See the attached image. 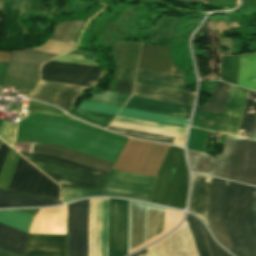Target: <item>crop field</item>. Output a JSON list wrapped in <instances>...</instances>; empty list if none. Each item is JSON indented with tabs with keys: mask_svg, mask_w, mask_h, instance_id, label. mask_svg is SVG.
I'll return each instance as SVG.
<instances>
[{
	"mask_svg": "<svg viewBox=\"0 0 256 256\" xmlns=\"http://www.w3.org/2000/svg\"><path fill=\"white\" fill-rule=\"evenodd\" d=\"M25 156L60 186L101 188L106 175L89 171L52 158ZM24 157V158H25ZM61 187V199L93 196H119L150 202V185L106 178L101 189Z\"/></svg>",
	"mask_w": 256,
	"mask_h": 256,
	"instance_id": "1",
	"label": "crop field"
},
{
	"mask_svg": "<svg viewBox=\"0 0 256 256\" xmlns=\"http://www.w3.org/2000/svg\"><path fill=\"white\" fill-rule=\"evenodd\" d=\"M33 215L0 211V223L28 233ZM67 205L39 209L29 233L66 235ZM29 234L23 256H66V236Z\"/></svg>",
	"mask_w": 256,
	"mask_h": 256,
	"instance_id": "2",
	"label": "crop field"
},
{
	"mask_svg": "<svg viewBox=\"0 0 256 256\" xmlns=\"http://www.w3.org/2000/svg\"><path fill=\"white\" fill-rule=\"evenodd\" d=\"M188 157L193 171L256 186V141L228 135L216 159L190 150Z\"/></svg>",
	"mask_w": 256,
	"mask_h": 256,
	"instance_id": "3",
	"label": "crop field"
},
{
	"mask_svg": "<svg viewBox=\"0 0 256 256\" xmlns=\"http://www.w3.org/2000/svg\"><path fill=\"white\" fill-rule=\"evenodd\" d=\"M256 188L227 181L224 228L238 256H256V225L253 202Z\"/></svg>",
	"mask_w": 256,
	"mask_h": 256,
	"instance_id": "4",
	"label": "crop field"
},
{
	"mask_svg": "<svg viewBox=\"0 0 256 256\" xmlns=\"http://www.w3.org/2000/svg\"><path fill=\"white\" fill-rule=\"evenodd\" d=\"M184 212L129 201L128 254L162 237Z\"/></svg>",
	"mask_w": 256,
	"mask_h": 256,
	"instance_id": "5",
	"label": "crop field"
},
{
	"mask_svg": "<svg viewBox=\"0 0 256 256\" xmlns=\"http://www.w3.org/2000/svg\"><path fill=\"white\" fill-rule=\"evenodd\" d=\"M188 172L183 150L171 146L155 179L151 202L185 209Z\"/></svg>",
	"mask_w": 256,
	"mask_h": 256,
	"instance_id": "6",
	"label": "crop field"
},
{
	"mask_svg": "<svg viewBox=\"0 0 256 256\" xmlns=\"http://www.w3.org/2000/svg\"><path fill=\"white\" fill-rule=\"evenodd\" d=\"M57 54L28 49L11 52L3 87L33 90L38 80L40 65Z\"/></svg>",
	"mask_w": 256,
	"mask_h": 256,
	"instance_id": "7",
	"label": "crop field"
},
{
	"mask_svg": "<svg viewBox=\"0 0 256 256\" xmlns=\"http://www.w3.org/2000/svg\"><path fill=\"white\" fill-rule=\"evenodd\" d=\"M8 189L59 198V186L21 156Z\"/></svg>",
	"mask_w": 256,
	"mask_h": 256,
	"instance_id": "8",
	"label": "crop field"
},
{
	"mask_svg": "<svg viewBox=\"0 0 256 256\" xmlns=\"http://www.w3.org/2000/svg\"><path fill=\"white\" fill-rule=\"evenodd\" d=\"M89 199L68 207L67 256H87Z\"/></svg>",
	"mask_w": 256,
	"mask_h": 256,
	"instance_id": "9",
	"label": "crop field"
},
{
	"mask_svg": "<svg viewBox=\"0 0 256 256\" xmlns=\"http://www.w3.org/2000/svg\"><path fill=\"white\" fill-rule=\"evenodd\" d=\"M109 199H90L88 256H107Z\"/></svg>",
	"mask_w": 256,
	"mask_h": 256,
	"instance_id": "10",
	"label": "crop field"
},
{
	"mask_svg": "<svg viewBox=\"0 0 256 256\" xmlns=\"http://www.w3.org/2000/svg\"><path fill=\"white\" fill-rule=\"evenodd\" d=\"M99 73L100 67L50 61L42 67L41 80L89 86Z\"/></svg>",
	"mask_w": 256,
	"mask_h": 256,
	"instance_id": "11",
	"label": "crop field"
},
{
	"mask_svg": "<svg viewBox=\"0 0 256 256\" xmlns=\"http://www.w3.org/2000/svg\"><path fill=\"white\" fill-rule=\"evenodd\" d=\"M128 201L110 199L108 256L127 255Z\"/></svg>",
	"mask_w": 256,
	"mask_h": 256,
	"instance_id": "12",
	"label": "crop field"
},
{
	"mask_svg": "<svg viewBox=\"0 0 256 256\" xmlns=\"http://www.w3.org/2000/svg\"><path fill=\"white\" fill-rule=\"evenodd\" d=\"M225 184V180L212 177L207 208L208 223L209 228L216 237L217 241L236 255L230 243V240L223 228L222 208Z\"/></svg>",
	"mask_w": 256,
	"mask_h": 256,
	"instance_id": "13",
	"label": "crop field"
},
{
	"mask_svg": "<svg viewBox=\"0 0 256 256\" xmlns=\"http://www.w3.org/2000/svg\"><path fill=\"white\" fill-rule=\"evenodd\" d=\"M152 247L156 256H198L186 221L175 232ZM152 247L146 248L149 256H155Z\"/></svg>",
	"mask_w": 256,
	"mask_h": 256,
	"instance_id": "14",
	"label": "crop field"
},
{
	"mask_svg": "<svg viewBox=\"0 0 256 256\" xmlns=\"http://www.w3.org/2000/svg\"><path fill=\"white\" fill-rule=\"evenodd\" d=\"M87 89L85 86L41 81L37 89L27 97L51 102L67 111L77 96Z\"/></svg>",
	"mask_w": 256,
	"mask_h": 256,
	"instance_id": "15",
	"label": "crop field"
},
{
	"mask_svg": "<svg viewBox=\"0 0 256 256\" xmlns=\"http://www.w3.org/2000/svg\"><path fill=\"white\" fill-rule=\"evenodd\" d=\"M110 125L166 136H172L175 137L172 143L179 146H183L186 134V128L183 127L162 125L119 116H116Z\"/></svg>",
	"mask_w": 256,
	"mask_h": 256,
	"instance_id": "16",
	"label": "crop field"
},
{
	"mask_svg": "<svg viewBox=\"0 0 256 256\" xmlns=\"http://www.w3.org/2000/svg\"><path fill=\"white\" fill-rule=\"evenodd\" d=\"M30 153L57 156L105 172H108L112 166V163L88 155H84L57 145L32 143Z\"/></svg>",
	"mask_w": 256,
	"mask_h": 256,
	"instance_id": "17",
	"label": "crop field"
},
{
	"mask_svg": "<svg viewBox=\"0 0 256 256\" xmlns=\"http://www.w3.org/2000/svg\"><path fill=\"white\" fill-rule=\"evenodd\" d=\"M138 68L182 75L172 62L166 47L142 44Z\"/></svg>",
	"mask_w": 256,
	"mask_h": 256,
	"instance_id": "18",
	"label": "crop field"
},
{
	"mask_svg": "<svg viewBox=\"0 0 256 256\" xmlns=\"http://www.w3.org/2000/svg\"><path fill=\"white\" fill-rule=\"evenodd\" d=\"M247 91L232 85L220 132L237 135Z\"/></svg>",
	"mask_w": 256,
	"mask_h": 256,
	"instance_id": "19",
	"label": "crop field"
},
{
	"mask_svg": "<svg viewBox=\"0 0 256 256\" xmlns=\"http://www.w3.org/2000/svg\"><path fill=\"white\" fill-rule=\"evenodd\" d=\"M193 92H185L170 88L148 85L135 82L133 95L157 100H163L184 105L193 104Z\"/></svg>",
	"mask_w": 256,
	"mask_h": 256,
	"instance_id": "20",
	"label": "crop field"
},
{
	"mask_svg": "<svg viewBox=\"0 0 256 256\" xmlns=\"http://www.w3.org/2000/svg\"><path fill=\"white\" fill-rule=\"evenodd\" d=\"M124 107L186 118H189L192 108L190 106H184L135 96H132Z\"/></svg>",
	"mask_w": 256,
	"mask_h": 256,
	"instance_id": "21",
	"label": "crop field"
},
{
	"mask_svg": "<svg viewBox=\"0 0 256 256\" xmlns=\"http://www.w3.org/2000/svg\"><path fill=\"white\" fill-rule=\"evenodd\" d=\"M186 221L199 256H230L229 253L221 249L213 241L207 229L197 218L192 215H188Z\"/></svg>",
	"mask_w": 256,
	"mask_h": 256,
	"instance_id": "22",
	"label": "crop field"
},
{
	"mask_svg": "<svg viewBox=\"0 0 256 256\" xmlns=\"http://www.w3.org/2000/svg\"><path fill=\"white\" fill-rule=\"evenodd\" d=\"M193 184L189 211L207 224L206 208L211 177L192 173ZM208 226V224H207Z\"/></svg>",
	"mask_w": 256,
	"mask_h": 256,
	"instance_id": "23",
	"label": "crop field"
},
{
	"mask_svg": "<svg viewBox=\"0 0 256 256\" xmlns=\"http://www.w3.org/2000/svg\"><path fill=\"white\" fill-rule=\"evenodd\" d=\"M60 203L57 199L0 190V207H36Z\"/></svg>",
	"mask_w": 256,
	"mask_h": 256,
	"instance_id": "24",
	"label": "crop field"
},
{
	"mask_svg": "<svg viewBox=\"0 0 256 256\" xmlns=\"http://www.w3.org/2000/svg\"><path fill=\"white\" fill-rule=\"evenodd\" d=\"M27 233L0 224V249L22 255Z\"/></svg>",
	"mask_w": 256,
	"mask_h": 256,
	"instance_id": "25",
	"label": "crop field"
},
{
	"mask_svg": "<svg viewBox=\"0 0 256 256\" xmlns=\"http://www.w3.org/2000/svg\"><path fill=\"white\" fill-rule=\"evenodd\" d=\"M140 45L135 42H115L114 60L116 64L136 68Z\"/></svg>",
	"mask_w": 256,
	"mask_h": 256,
	"instance_id": "26",
	"label": "crop field"
},
{
	"mask_svg": "<svg viewBox=\"0 0 256 256\" xmlns=\"http://www.w3.org/2000/svg\"><path fill=\"white\" fill-rule=\"evenodd\" d=\"M238 85L256 90V53L241 56Z\"/></svg>",
	"mask_w": 256,
	"mask_h": 256,
	"instance_id": "27",
	"label": "crop field"
},
{
	"mask_svg": "<svg viewBox=\"0 0 256 256\" xmlns=\"http://www.w3.org/2000/svg\"><path fill=\"white\" fill-rule=\"evenodd\" d=\"M256 118V92L248 91L238 136L247 137L249 132L252 133Z\"/></svg>",
	"mask_w": 256,
	"mask_h": 256,
	"instance_id": "28",
	"label": "crop field"
},
{
	"mask_svg": "<svg viewBox=\"0 0 256 256\" xmlns=\"http://www.w3.org/2000/svg\"><path fill=\"white\" fill-rule=\"evenodd\" d=\"M118 115L125 116V117H131V118H137V119H143V120H148V121L184 126V127H186L187 122L189 120V119H185V118L170 117V116H164V115L153 114V113H148V112L125 109V108H122V110L119 112Z\"/></svg>",
	"mask_w": 256,
	"mask_h": 256,
	"instance_id": "29",
	"label": "crop field"
},
{
	"mask_svg": "<svg viewBox=\"0 0 256 256\" xmlns=\"http://www.w3.org/2000/svg\"><path fill=\"white\" fill-rule=\"evenodd\" d=\"M223 114L196 110L191 126L219 132Z\"/></svg>",
	"mask_w": 256,
	"mask_h": 256,
	"instance_id": "30",
	"label": "crop field"
},
{
	"mask_svg": "<svg viewBox=\"0 0 256 256\" xmlns=\"http://www.w3.org/2000/svg\"><path fill=\"white\" fill-rule=\"evenodd\" d=\"M230 86V84L218 81L207 105L204 107L197 106L196 109L224 112Z\"/></svg>",
	"mask_w": 256,
	"mask_h": 256,
	"instance_id": "31",
	"label": "crop field"
},
{
	"mask_svg": "<svg viewBox=\"0 0 256 256\" xmlns=\"http://www.w3.org/2000/svg\"><path fill=\"white\" fill-rule=\"evenodd\" d=\"M240 56H221L219 80L237 85Z\"/></svg>",
	"mask_w": 256,
	"mask_h": 256,
	"instance_id": "32",
	"label": "crop field"
},
{
	"mask_svg": "<svg viewBox=\"0 0 256 256\" xmlns=\"http://www.w3.org/2000/svg\"><path fill=\"white\" fill-rule=\"evenodd\" d=\"M82 24L81 21H63L56 25L50 39L75 43L74 36Z\"/></svg>",
	"mask_w": 256,
	"mask_h": 256,
	"instance_id": "33",
	"label": "crop field"
},
{
	"mask_svg": "<svg viewBox=\"0 0 256 256\" xmlns=\"http://www.w3.org/2000/svg\"><path fill=\"white\" fill-rule=\"evenodd\" d=\"M19 154L9 148L2 170L0 172V188L7 189Z\"/></svg>",
	"mask_w": 256,
	"mask_h": 256,
	"instance_id": "34",
	"label": "crop field"
},
{
	"mask_svg": "<svg viewBox=\"0 0 256 256\" xmlns=\"http://www.w3.org/2000/svg\"><path fill=\"white\" fill-rule=\"evenodd\" d=\"M69 113H71L72 115H74L84 121L93 123V124L101 126L103 128H105L107 126V124L114 117L112 115L100 114V113H95V112H90V111H85V110H80V109H78L77 111L73 110Z\"/></svg>",
	"mask_w": 256,
	"mask_h": 256,
	"instance_id": "35",
	"label": "crop field"
},
{
	"mask_svg": "<svg viewBox=\"0 0 256 256\" xmlns=\"http://www.w3.org/2000/svg\"><path fill=\"white\" fill-rule=\"evenodd\" d=\"M136 77L156 80V81H161L166 83H172V84H177L182 86H184L185 84V79L181 76L163 74V73L140 70V69H138Z\"/></svg>",
	"mask_w": 256,
	"mask_h": 256,
	"instance_id": "36",
	"label": "crop field"
},
{
	"mask_svg": "<svg viewBox=\"0 0 256 256\" xmlns=\"http://www.w3.org/2000/svg\"><path fill=\"white\" fill-rule=\"evenodd\" d=\"M129 97H130L129 95H123V94L104 91L99 95H97L96 97L86 99V101H92V102L122 107Z\"/></svg>",
	"mask_w": 256,
	"mask_h": 256,
	"instance_id": "37",
	"label": "crop field"
},
{
	"mask_svg": "<svg viewBox=\"0 0 256 256\" xmlns=\"http://www.w3.org/2000/svg\"><path fill=\"white\" fill-rule=\"evenodd\" d=\"M208 132L191 128L188 149L203 152Z\"/></svg>",
	"mask_w": 256,
	"mask_h": 256,
	"instance_id": "38",
	"label": "crop field"
},
{
	"mask_svg": "<svg viewBox=\"0 0 256 256\" xmlns=\"http://www.w3.org/2000/svg\"><path fill=\"white\" fill-rule=\"evenodd\" d=\"M110 178L122 179L152 185L155 177L112 170Z\"/></svg>",
	"mask_w": 256,
	"mask_h": 256,
	"instance_id": "39",
	"label": "crop field"
},
{
	"mask_svg": "<svg viewBox=\"0 0 256 256\" xmlns=\"http://www.w3.org/2000/svg\"><path fill=\"white\" fill-rule=\"evenodd\" d=\"M73 45L74 44H71V43H63L58 41L55 42V41L48 40L44 45L40 47H35L33 49L61 54L72 49Z\"/></svg>",
	"mask_w": 256,
	"mask_h": 256,
	"instance_id": "40",
	"label": "crop field"
},
{
	"mask_svg": "<svg viewBox=\"0 0 256 256\" xmlns=\"http://www.w3.org/2000/svg\"><path fill=\"white\" fill-rule=\"evenodd\" d=\"M78 108L93 110V111H98V112H103V113H108V114H113V115H116V113L120 109L119 107H113V106L97 104V103H92V102H86V101L81 102V104L78 106Z\"/></svg>",
	"mask_w": 256,
	"mask_h": 256,
	"instance_id": "41",
	"label": "crop field"
},
{
	"mask_svg": "<svg viewBox=\"0 0 256 256\" xmlns=\"http://www.w3.org/2000/svg\"><path fill=\"white\" fill-rule=\"evenodd\" d=\"M108 129H111V130L116 131V132L128 134V135L140 137V138L162 141V142H167V143H171L172 140H173V138H171V137H165V136H159V135H153V134H147V133H141V132L111 128V127H108Z\"/></svg>",
	"mask_w": 256,
	"mask_h": 256,
	"instance_id": "42",
	"label": "crop field"
},
{
	"mask_svg": "<svg viewBox=\"0 0 256 256\" xmlns=\"http://www.w3.org/2000/svg\"><path fill=\"white\" fill-rule=\"evenodd\" d=\"M16 125L11 123H2L0 137L9 145L13 144Z\"/></svg>",
	"mask_w": 256,
	"mask_h": 256,
	"instance_id": "43",
	"label": "crop field"
},
{
	"mask_svg": "<svg viewBox=\"0 0 256 256\" xmlns=\"http://www.w3.org/2000/svg\"><path fill=\"white\" fill-rule=\"evenodd\" d=\"M54 60L98 66L95 60L83 59V56H79V55L64 54Z\"/></svg>",
	"mask_w": 256,
	"mask_h": 256,
	"instance_id": "44",
	"label": "crop field"
},
{
	"mask_svg": "<svg viewBox=\"0 0 256 256\" xmlns=\"http://www.w3.org/2000/svg\"><path fill=\"white\" fill-rule=\"evenodd\" d=\"M132 85L131 81L117 79L115 92L131 95Z\"/></svg>",
	"mask_w": 256,
	"mask_h": 256,
	"instance_id": "45",
	"label": "crop field"
},
{
	"mask_svg": "<svg viewBox=\"0 0 256 256\" xmlns=\"http://www.w3.org/2000/svg\"><path fill=\"white\" fill-rule=\"evenodd\" d=\"M135 81L148 83V84L159 85V86H164V87H170V88H175V89H181V90H183V88H184L182 86L171 85V84H166V83H161V82H156V81H150V80H144V79H138V78H136Z\"/></svg>",
	"mask_w": 256,
	"mask_h": 256,
	"instance_id": "46",
	"label": "crop field"
},
{
	"mask_svg": "<svg viewBox=\"0 0 256 256\" xmlns=\"http://www.w3.org/2000/svg\"><path fill=\"white\" fill-rule=\"evenodd\" d=\"M135 71H136V69H134V68L123 67V66H118L117 65V71H115L114 73H118V74H123V75L134 77Z\"/></svg>",
	"mask_w": 256,
	"mask_h": 256,
	"instance_id": "47",
	"label": "crop field"
},
{
	"mask_svg": "<svg viewBox=\"0 0 256 256\" xmlns=\"http://www.w3.org/2000/svg\"><path fill=\"white\" fill-rule=\"evenodd\" d=\"M8 148H9V146H7L5 143L1 142V145H0V170H1L2 164L4 162Z\"/></svg>",
	"mask_w": 256,
	"mask_h": 256,
	"instance_id": "48",
	"label": "crop field"
},
{
	"mask_svg": "<svg viewBox=\"0 0 256 256\" xmlns=\"http://www.w3.org/2000/svg\"><path fill=\"white\" fill-rule=\"evenodd\" d=\"M8 63L0 62V85L3 84L6 68Z\"/></svg>",
	"mask_w": 256,
	"mask_h": 256,
	"instance_id": "49",
	"label": "crop field"
},
{
	"mask_svg": "<svg viewBox=\"0 0 256 256\" xmlns=\"http://www.w3.org/2000/svg\"><path fill=\"white\" fill-rule=\"evenodd\" d=\"M178 2H186V3H205L208 4L207 0H173Z\"/></svg>",
	"mask_w": 256,
	"mask_h": 256,
	"instance_id": "50",
	"label": "crop field"
},
{
	"mask_svg": "<svg viewBox=\"0 0 256 256\" xmlns=\"http://www.w3.org/2000/svg\"><path fill=\"white\" fill-rule=\"evenodd\" d=\"M21 154H23V153H21ZM30 155H34V154H30ZM42 156H46V155H42ZM48 157H53V156H48ZM53 158H56V157H53ZM56 159H59V158H56ZM59 160H62V161H65V162H68V163H71V164H74V165H77V166H81V167H84V168H87V169H90V170H93V171H96V172H100V173H103V174L107 175V173H104V172H101V171H97V170H94V169H91V168H88V167H85V166H82V165H78V164H75V163L63 160V159H59Z\"/></svg>",
	"mask_w": 256,
	"mask_h": 256,
	"instance_id": "51",
	"label": "crop field"
},
{
	"mask_svg": "<svg viewBox=\"0 0 256 256\" xmlns=\"http://www.w3.org/2000/svg\"><path fill=\"white\" fill-rule=\"evenodd\" d=\"M113 77H115V78H120V79L131 80V81H133V79H134V78H132V77H126V76H121V75H117V74H114Z\"/></svg>",
	"mask_w": 256,
	"mask_h": 256,
	"instance_id": "52",
	"label": "crop field"
},
{
	"mask_svg": "<svg viewBox=\"0 0 256 256\" xmlns=\"http://www.w3.org/2000/svg\"><path fill=\"white\" fill-rule=\"evenodd\" d=\"M0 256H17V255L0 250Z\"/></svg>",
	"mask_w": 256,
	"mask_h": 256,
	"instance_id": "53",
	"label": "crop field"
},
{
	"mask_svg": "<svg viewBox=\"0 0 256 256\" xmlns=\"http://www.w3.org/2000/svg\"><path fill=\"white\" fill-rule=\"evenodd\" d=\"M132 256H147V253H146V250L144 249V250H142V251H140V252H138V253H136Z\"/></svg>",
	"mask_w": 256,
	"mask_h": 256,
	"instance_id": "54",
	"label": "crop field"
},
{
	"mask_svg": "<svg viewBox=\"0 0 256 256\" xmlns=\"http://www.w3.org/2000/svg\"><path fill=\"white\" fill-rule=\"evenodd\" d=\"M251 138L256 139V122H255L254 131Z\"/></svg>",
	"mask_w": 256,
	"mask_h": 256,
	"instance_id": "55",
	"label": "crop field"
},
{
	"mask_svg": "<svg viewBox=\"0 0 256 256\" xmlns=\"http://www.w3.org/2000/svg\"><path fill=\"white\" fill-rule=\"evenodd\" d=\"M254 211H255V220H256V196H255V202H254Z\"/></svg>",
	"mask_w": 256,
	"mask_h": 256,
	"instance_id": "56",
	"label": "crop field"
},
{
	"mask_svg": "<svg viewBox=\"0 0 256 256\" xmlns=\"http://www.w3.org/2000/svg\"><path fill=\"white\" fill-rule=\"evenodd\" d=\"M1 142V141H0Z\"/></svg>",
	"mask_w": 256,
	"mask_h": 256,
	"instance_id": "57",
	"label": "crop field"
}]
</instances>
